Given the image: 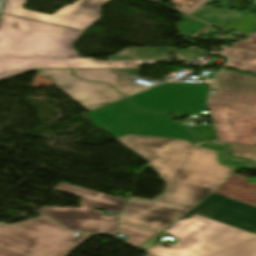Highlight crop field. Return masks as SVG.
Returning a JSON list of instances; mask_svg holds the SVG:
<instances>
[{
	"label": "crop field",
	"mask_w": 256,
	"mask_h": 256,
	"mask_svg": "<svg viewBox=\"0 0 256 256\" xmlns=\"http://www.w3.org/2000/svg\"><path fill=\"white\" fill-rule=\"evenodd\" d=\"M89 236H74L44 216L0 224V246L27 256H66Z\"/></svg>",
	"instance_id": "4"
},
{
	"label": "crop field",
	"mask_w": 256,
	"mask_h": 256,
	"mask_svg": "<svg viewBox=\"0 0 256 256\" xmlns=\"http://www.w3.org/2000/svg\"><path fill=\"white\" fill-rule=\"evenodd\" d=\"M83 33L13 15H1L0 54L80 57L73 44Z\"/></svg>",
	"instance_id": "2"
},
{
	"label": "crop field",
	"mask_w": 256,
	"mask_h": 256,
	"mask_svg": "<svg viewBox=\"0 0 256 256\" xmlns=\"http://www.w3.org/2000/svg\"><path fill=\"white\" fill-rule=\"evenodd\" d=\"M224 70H226V71H230V70H227V69H224ZM231 72H235V71H231ZM236 73H241V74L251 75V74L242 73V72H236ZM251 76H255V75H251Z\"/></svg>",
	"instance_id": "25"
},
{
	"label": "crop field",
	"mask_w": 256,
	"mask_h": 256,
	"mask_svg": "<svg viewBox=\"0 0 256 256\" xmlns=\"http://www.w3.org/2000/svg\"><path fill=\"white\" fill-rule=\"evenodd\" d=\"M172 52L179 54L178 59L191 61L206 51L195 47H191L187 50H177L173 48H126L123 52L109 56L108 61L165 60V55Z\"/></svg>",
	"instance_id": "13"
},
{
	"label": "crop field",
	"mask_w": 256,
	"mask_h": 256,
	"mask_svg": "<svg viewBox=\"0 0 256 256\" xmlns=\"http://www.w3.org/2000/svg\"><path fill=\"white\" fill-rule=\"evenodd\" d=\"M221 54L230 58L226 67L256 72V52L226 48Z\"/></svg>",
	"instance_id": "16"
},
{
	"label": "crop field",
	"mask_w": 256,
	"mask_h": 256,
	"mask_svg": "<svg viewBox=\"0 0 256 256\" xmlns=\"http://www.w3.org/2000/svg\"><path fill=\"white\" fill-rule=\"evenodd\" d=\"M117 140L149 161L167 184L153 201L131 198L120 214L121 224L155 233L196 206L236 169L251 170L246 162L225 160V150L199 141L135 135Z\"/></svg>",
	"instance_id": "1"
},
{
	"label": "crop field",
	"mask_w": 256,
	"mask_h": 256,
	"mask_svg": "<svg viewBox=\"0 0 256 256\" xmlns=\"http://www.w3.org/2000/svg\"><path fill=\"white\" fill-rule=\"evenodd\" d=\"M166 233L176 236L178 243L167 249L160 245L148 250L157 256H206L256 238L250 233L195 214L186 222L177 221Z\"/></svg>",
	"instance_id": "3"
},
{
	"label": "crop field",
	"mask_w": 256,
	"mask_h": 256,
	"mask_svg": "<svg viewBox=\"0 0 256 256\" xmlns=\"http://www.w3.org/2000/svg\"><path fill=\"white\" fill-rule=\"evenodd\" d=\"M0 256H24L0 247Z\"/></svg>",
	"instance_id": "22"
},
{
	"label": "crop field",
	"mask_w": 256,
	"mask_h": 256,
	"mask_svg": "<svg viewBox=\"0 0 256 256\" xmlns=\"http://www.w3.org/2000/svg\"><path fill=\"white\" fill-rule=\"evenodd\" d=\"M38 73L54 80L58 89L64 91L88 111L126 98L108 84L75 78L71 76L70 70H38Z\"/></svg>",
	"instance_id": "10"
},
{
	"label": "crop field",
	"mask_w": 256,
	"mask_h": 256,
	"mask_svg": "<svg viewBox=\"0 0 256 256\" xmlns=\"http://www.w3.org/2000/svg\"><path fill=\"white\" fill-rule=\"evenodd\" d=\"M194 136L203 141H211L216 138L213 126H204L197 128L196 126L187 128Z\"/></svg>",
	"instance_id": "20"
},
{
	"label": "crop field",
	"mask_w": 256,
	"mask_h": 256,
	"mask_svg": "<svg viewBox=\"0 0 256 256\" xmlns=\"http://www.w3.org/2000/svg\"><path fill=\"white\" fill-rule=\"evenodd\" d=\"M214 144V143H210ZM223 146L226 150H228L227 158L232 160H240L247 159L255 163L256 165V146L250 145H236V144H215Z\"/></svg>",
	"instance_id": "17"
},
{
	"label": "crop field",
	"mask_w": 256,
	"mask_h": 256,
	"mask_svg": "<svg viewBox=\"0 0 256 256\" xmlns=\"http://www.w3.org/2000/svg\"><path fill=\"white\" fill-rule=\"evenodd\" d=\"M208 89L209 86L165 83L130 99L135 106L142 109L182 117L207 109Z\"/></svg>",
	"instance_id": "8"
},
{
	"label": "crop field",
	"mask_w": 256,
	"mask_h": 256,
	"mask_svg": "<svg viewBox=\"0 0 256 256\" xmlns=\"http://www.w3.org/2000/svg\"><path fill=\"white\" fill-rule=\"evenodd\" d=\"M209 256H256V239L222 250Z\"/></svg>",
	"instance_id": "18"
},
{
	"label": "crop field",
	"mask_w": 256,
	"mask_h": 256,
	"mask_svg": "<svg viewBox=\"0 0 256 256\" xmlns=\"http://www.w3.org/2000/svg\"><path fill=\"white\" fill-rule=\"evenodd\" d=\"M75 76L83 79H89L94 81L106 82L119 91L126 94L128 97L138 94L140 92L151 89L150 87H144L136 85L134 83H126L122 81L123 76H133L130 74L109 70V69H73Z\"/></svg>",
	"instance_id": "14"
},
{
	"label": "crop field",
	"mask_w": 256,
	"mask_h": 256,
	"mask_svg": "<svg viewBox=\"0 0 256 256\" xmlns=\"http://www.w3.org/2000/svg\"><path fill=\"white\" fill-rule=\"evenodd\" d=\"M56 190L80 195L82 209L73 208H42L40 212L74 231L105 233L115 235L118 216H104L94 212L92 207H98L119 213L125 200L103 195L91 190L61 183Z\"/></svg>",
	"instance_id": "6"
},
{
	"label": "crop field",
	"mask_w": 256,
	"mask_h": 256,
	"mask_svg": "<svg viewBox=\"0 0 256 256\" xmlns=\"http://www.w3.org/2000/svg\"><path fill=\"white\" fill-rule=\"evenodd\" d=\"M248 182L249 185H252V184H256V178L255 179H249V180H246Z\"/></svg>",
	"instance_id": "24"
},
{
	"label": "crop field",
	"mask_w": 256,
	"mask_h": 256,
	"mask_svg": "<svg viewBox=\"0 0 256 256\" xmlns=\"http://www.w3.org/2000/svg\"><path fill=\"white\" fill-rule=\"evenodd\" d=\"M104 132L117 139L128 134L196 140L168 115H155L139 110L128 99L88 113Z\"/></svg>",
	"instance_id": "5"
},
{
	"label": "crop field",
	"mask_w": 256,
	"mask_h": 256,
	"mask_svg": "<svg viewBox=\"0 0 256 256\" xmlns=\"http://www.w3.org/2000/svg\"><path fill=\"white\" fill-rule=\"evenodd\" d=\"M177 11L189 14L208 2H216L213 0H170Z\"/></svg>",
	"instance_id": "19"
},
{
	"label": "crop field",
	"mask_w": 256,
	"mask_h": 256,
	"mask_svg": "<svg viewBox=\"0 0 256 256\" xmlns=\"http://www.w3.org/2000/svg\"><path fill=\"white\" fill-rule=\"evenodd\" d=\"M39 68H137L136 62H97L92 59H50L0 55V80Z\"/></svg>",
	"instance_id": "12"
},
{
	"label": "crop field",
	"mask_w": 256,
	"mask_h": 256,
	"mask_svg": "<svg viewBox=\"0 0 256 256\" xmlns=\"http://www.w3.org/2000/svg\"><path fill=\"white\" fill-rule=\"evenodd\" d=\"M234 48H240L250 51H256V34L248 37L246 41L236 42L232 45Z\"/></svg>",
	"instance_id": "21"
},
{
	"label": "crop field",
	"mask_w": 256,
	"mask_h": 256,
	"mask_svg": "<svg viewBox=\"0 0 256 256\" xmlns=\"http://www.w3.org/2000/svg\"><path fill=\"white\" fill-rule=\"evenodd\" d=\"M156 245L154 239H149L147 242H145L144 244H142L139 248L146 250L152 246Z\"/></svg>",
	"instance_id": "23"
},
{
	"label": "crop field",
	"mask_w": 256,
	"mask_h": 256,
	"mask_svg": "<svg viewBox=\"0 0 256 256\" xmlns=\"http://www.w3.org/2000/svg\"><path fill=\"white\" fill-rule=\"evenodd\" d=\"M110 0H77L52 15L22 9L25 0H6L2 13L86 30L100 16V8Z\"/></svg>",
	"instance_id": "9"
},
{
	"label": "crop field",
	"mask_w": 256,
	"mask_h": 256,
	"mask_svg": "<svg viewBox=\"0 0 256 256\" xmlns=\"http://www.w3.org/2000/svg\"><path fill=\"white\" fill-rule=\"evenodd\" d=\"M146 256H152V255L148 254V255H146Z\"/></svg>",
	"instance_id": "26"
},
{
	"label": "crop field",
	"mask_w": 256,
	"mask_h": 256,
	"mask_svg": "<svg viewBox=\"0 0 256 256\" xmlns=\"http://www.w3.org/2000/svg\"><path fill=\"white\" fill-rule=\"evenodd\" d=\"M190 212L250 232L256 231V207L213 192Z\"/></svg>",
	"instance_id": "11"
},
{
	"label": "crop field",
	"mask_w": 256,
	"mask_h": 256,
	"mask_svg": "<svg viewBox=\"0 0 256 256\" xmlns=\"http://www.w3.org/2000/svg\"><path fill=\"white\" fill-rule=\"evenodd\" d=\"M209 105L221 142L256 145V95L217 90Z\"/></svg>",
	"instance_id": "7"
},
{
	"label": "crop field",
	"mask_w": 256,
	"mask_h": 256,
	"mask_svg": "<svg viewBox=\"0 0 256 256\" xmlns=\"http://www.w3.org/2000/svg\"><path fill=\"white\" fill-rule=\"evenodd\" d=\"M212 89L256 94V77L223 71L214 79Z\"/></svg>",
	"instance_id": "15"
}]
</instances>
